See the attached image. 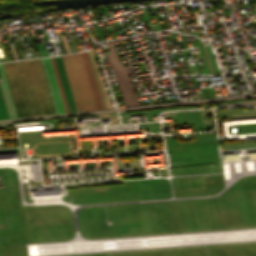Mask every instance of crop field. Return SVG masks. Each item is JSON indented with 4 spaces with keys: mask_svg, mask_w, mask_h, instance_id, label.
<instances>
[{
    "mask_svg": "<svg viewBox=\"0 0 256 256\" xmlns=\"http://www.w3.org/2000/svg\"><path fill=\"white\" fill-rule=\"evenodd\" d=\"M77 109H97L80 53L61 56Z\"/></svg>",
    "mask_w": 256,
    "mask_h": 256,
    "instance_id": "8a807250",
    "label": "crop field"
},
{
    "mask_svg": "<svg viewBox=\"0 0 256 256\" xmlns=\"http://www.w3.org/2000/svg\"><path fill=\"white\" fill-rule=\"evenodd\" d=\"M106 43L110 52V55H107V56L110 61L111 67L113 69V72H114L117 84L119 86L120 92L122 94V97L124 99L125 105L126 106L140 105L135 96L131 81L126 73V70L124 66L121 65L118 61L117 55L114 51V47L110 46L109 42H106Z\"/></svg>",
    "mask_w": 256,
    "mask_h": 256,
    "instance_id": "ac0d7876",
    "label": "crop field"
},
{
    "mask_svg": "<svg viewBox=\"0 0 256 256\" xmlns=\"http://www.w3.org/2000/svg\"><path fill=\"white\" fill-rule=\"evenodd\" d=\"M58 113H65L49 58L42 59Z\"/></svg>",
    "mask_w": 256,
    "mask_h": 256,
    "instance_id": "34b2d1b8",
    "label": "crop field"
},
{
    "mask_svg": "<svg viewBox=\"0 0 256 256\" xmlns=\"http://www.w3.org/2000/svg\"><path fill=\"white\" fill-rule=\"evenodd\" d=\"M81 54H82V58H83L85 68H86V71H87V74H88V78H89V81H90V84H91V88H92V91H93V94H94V98H95V101H96V104H97V108L102 109L103 107H102V103H101V100H100L97 85H96V82H95V78H94V75H93V71H92V68H91L88 53L87 52H82Z\"/></svg>",
    "mask_w": 256,
    "mask_h": 256,
    "instance_id": "412701ff",
    "label": "crop field"
},
{
    "mask_svg": "<svg viewBox=\"0 0 256 256\" xmlns=\"http://www.w3.org/2000/svg\"><path fill=\"white\" fill-rule=\"evenodd\" d=\"M0 72L2 76V78H0V87H1L5 104L8 110L9 117L10 118L17 117L1 64H0Z\"/></svg>",
    "mask_w": 256,
    "mask_h": 256,
    "instance_id": "f4fd0767",
    "label": "crop field"
},
{
    "mask_svg": "<svg viewBox=\"0 0 256 256\" xmlns=\"http://www.w3.org/2000/svg\"><path fill=\"white\" fill-rule=\"evenodd\" d=\"M51 63H52V66H53V70H54V73H55V77H56V80H57V84H58V87H59V91H60V94H61V98H62V101H63V105H64V108H65V112L68 113V107H67V104H66V100H65V97H64V93H63V90H62V86H61V83H60V79H59V76H58V72H57V69H56V65H55V62H54V58L51 57Z\"/></svg>",
    "mask_w": 256,
    "mask_h": 256,
    "instance_id": "dd49c442",
    "label": "crop field"
},
{
    "mask_svg": "<svg viewBox=\"0 0 256 256\" xmlns=\"http://www.w3.org/2000/svg\"><path fill=\"white\" fill-rule=\"evenodd\" d=\"M0 226H3V225H2V221H1V217H0Z\"/></svg>",
    "mask_w": 256,
    "mask_h": 256,
    "instance_id": "e52e79f7",
    "label": "crop field"
}]
</instances>
